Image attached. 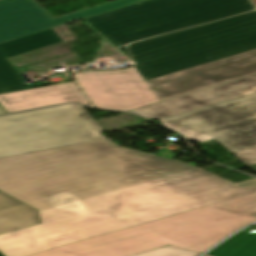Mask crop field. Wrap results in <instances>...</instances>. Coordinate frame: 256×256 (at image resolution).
Listing matches in <instances>:
<instances>
[{
	"mask_svg": "<svg viewBox=\"0 0 256 256\" xmlns=\"http://www.w3.org/2000/svg\"><path fill=\"white\" fill-rule=\"evenodd\" d=\"M73 76L96 108L131 111L159 102L135 66L117 71L79 72Z\"/></svg>",
	"mask_w": 256,
	"mask_h": 256,
	"instance_id": "dd49c442",
	"label": "crop field"
},
{
	"mask_svg": "<svg viewBox=\"0 0 256 256\" xmlns=\"http://www.w3.org/2000/svg\"><path fill=\"white\" fill-rule=\"evenodd\" d=\"M256 221V193L30 256H129L169 245L202 254Z\"/></svg>",
	"mask_w": 256,
	"mask_h": 256,
	"instance_id": "34b2d1b8",
	"label": "crop field"
},
{
	"mask_svg": "<svg viewBox=\"0 0 256 256\" xmlns=\"http://www.w3.org/2000/svg\"><path fill=\"white\" fill-rule=\"evenodd\" d=\"M249 168H251L252 170H254L256 172V165L250 166Z\"/></svg>",
	"mask_w": 256,
	"mask_h": 256,
	"instance_id": "4a817a6b",
	"label": "crop field"
},
{
	"mask_svg": "<svg viewBox=\"0 0 256 256\" xmlns=\"http://www.w3.org/2000/svg\"><path fill=\"white\" fill-rule=\"evenodd\" d=\"M55 32H58L60 35H58L60 38H63L64 40H69V39H73V37L71 36V34L66 30V28L64 26L62 27H58V28H54L53 29Z\"/></svg>",
	"mask_w": 256,
	"mask_h": 256,
	"instance_id": "d9b57169",
	"label": "crop field"
},
{
	"mask_svg": "<svg viewBox=\"0 0 256 256\" xmlns=\"http://www.w3.org/2000/svg\"><path fill=\"white\" fill-rule=\"evenodd\" d=\"M65 102L90 106L74 82L0 95V104L7 113Z\"/></svg>",
	"mask_w": 256,
	"mask_h": 256,
	"instance_id": "3316defc",
	"label": "crop field"
},
{
	"mask_svg": "<svg viewBox=\"0 0 256 256\" xmlns=\"http://www.w3.org/2000/svg\"><path fill=\"white\" fill-rule=\"evenodd\" d=\"M58 42H62V40L52 29H49L0 44V94L49 85L48 82L31 86L24 84L21 77L5 58Z\"/></svg>",
	"mask_w": 256,
	"mask_h": 256,
	"instance_id": "5a996713",
	"label": "crop field"
},
{
	"mask_svg": "<svg viewBox=\"0 0 256 256\" xmlns=\"http://www.w3.org/2000/svg\"><path fill=\"white\" fill-rule=\"evenodd\" d=\"M112 52H116V50H114L110 45H108L106 43L104 49L102 50L100 55H104V54H108V53H112Z\"/></svg>",
	"mask_w": 256,
	"mask_h": 256,
	"instance_id": "733c2abd",
	"label": "crop field"
},
{
	"mask_svg": "<svg viewBox=\"0 0 256 256\" xmlns=\"http://www.w3.org/2000/svg\"><path fill=\"white\" fill-rule=\"evenodd\" d=\"M234 156L245 163L247 166L256 164V148L234 153Z\"/></svg>",
	"mask_w": 256,
	"mask_h": 256,
	"instance_id": "5142ce71",
	"label": "crop field"
},
{
	"mask_svg": "<svg viewBox=\"0 0 256 256\" xmlns=\"http://www.w3.org/2000/svg\"><path fill=\"white\" fill-rule=\"evenodd\" d=\"M144 0H116L54 18L35 0H0V43Z\"/></svg>",
	"mask_w": 256,
	"mask_h": 256,
	"instance_id": "e52e79f7",
	"label": "crop field"
},
{
	"mask_svg": "<svg viewBox=\"0 0 256 256\" xmlns=\"http://www.w3.org/2000/svg\"><path fill=\"white\" fill-rule=\"evenodd\" d=\"M41 223L36 209L0 191V234Z\"/></svg>",
	"mask_w": 256,
	"mask_h": 256,
	"instance_id": "28ad6ade",
	"label": "crop field"
},
{
	"mask_svg": "<svg viewBox=\"0 0 256 256\" xmlns=\"http://www.w3.org/2000/svg\"><path fill=\"white\" fill-rule=\"evenodd\" d=\"M254 93H256V75L179 96L132 112L157 120Z\"/></svg>",
	"mask_w": 256,
	"mask_h": 256,
	"instance_id": "d8731c3e",
	"label": "crop field"
},
{
	"mask_svg": "<svg viewBox=\"0 0 256 256\" xmlns=\"http://www.w3.org/2000/svg\"><path fill=\"white\" fill-rule=\"evenodd\" d=\"M208 256H256V231H241L236 236L223 242Z\"/></svg>",
	"mask_w": 256,
	"mask_h": 256,
	"instance_id": "d1516ede",
	"label": "crop field"
},
{
	"mask_svg": "<svg viewBox=\"0 0 256 256\" xmlns=\"http://www.w3.org/2000/svg\"><path fill=\"white\" fill-rule=\"evenodd\" d=\"M200 254L165 246L132 256H199Z\"/></svg>",
	"mask_w": 256,
	"mask_h": 256,
	"instance_id": "cbeb9de0",
	"label": "crop field"
},
{
	"mask_svg": "<svg viewBox=\"0 0 256 256\" xmlns=\"http://www.w3.org/2000/svg\"><path fill=\"white\" fill-rule=\"evenodd\" d=\"M0 256H3V255L0 253Z\"/></svg>",
	"mask_w": 256,
	"mask_h": 256,
	"instance_id": "214f88e0",
	"label": "crop field"
},
{
	"mask_svg": "<svg viewBox=\"0 0 256 256\" xmlns=\"http://www.w3.org/2000/svg\"><path fill=\"white\" fill-rule=\"evenodd\" d=\"M73 40L65 41V42L58 43V44L48 46V47H45V48H41V49H38V50H35V51H31V52L24 53V54H21V55H17V56L11 57V58H7V60L11 64H13V63H17V62H20V61H24V60H27V59L34 58V57H38V56H41V55H45V54H49V53L56 52V51H59V50H63V49H66V48H70L72 46Z\"/></svg>",
	"mask_w": 256,
	"mask_h": 256,
	"instance_id": "22f410ed",
	"label": "crop field"
},
{
	"mask_svg": "<svg viewBox=\"0 0 256 256\" xmlns=\"http://www.w3.org/2000/svg\"><path fill=\"white\" fill-rule=\"evenodd\" d=\"M4 112L2 111V109L0 108V114H3Z\"/></svg>",
	"mask_w": 256,
	"mask_h": 256,
	"instance_id": "bc2a9ffb",
	"label": "crop field"
},
{
	"mask_svg": "<svg viewBox=\"0 0 256 256\" xmlns=\"http://www.w3.org/2000/svg\"><path fill=\"white\" fill-rule=\"evenodd\" d=\"M82 21L160 102L256 74L252 0H147Z\"/></svg>",
	"mask_w": 256,
	"mask_h": 256,
	"instance_id": "ac0d7876",
	"label": "crop field"
},
{
	"mask_svg": "<svg viewBox=\"0 0 256 256\" xmlns=\"http://www.w3.org/2000/svg\"><path fill=\"white\" fill-rule=\"evenodd\" d=\"M187 140L216 138L231 153L256 147V94L160 119Z\"/></svg>",
	"mask_w": 256,
	"mask_h": 256,
	"instance_id": "f4fd0767",
	"label": "crop field"
},
{
	"mask_svg": "<svg viewBox=\"0 0 256 256\" xmlns=\"http://www.w3.org/2000/svg\"><path fill=\"white\" fill-rule=\"evenodd\" d=\"M102 132L73 104L0 116V157L103 140Z\"/></svg>",
	"mask_w": 256,
	"mask_h": 256,
	"instance_id": "412701ff",
	"label": "crop field"
},
{
	"mask_svg": "<svg viewBox=\"0 0 256 256\" xmlns=\"http://www.w3.org/2000/svg\"><path fill=\"white\" fill-rule=\"evenodd\" d=\"M0 190L39 210L43 224L0 235L26 256L256 192L192 165L108 140L0 158Z\"/></svg>",
	"mask_w": 256,
	"mask_h": 256,
	"instance_id": "8a807250",
	"label": "crop field"
}]
</instances>
